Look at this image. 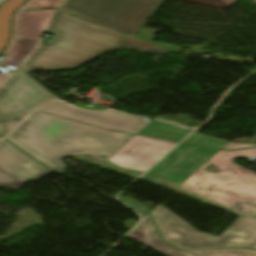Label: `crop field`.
I'll list each match as a JSON object with an SVG mask.
<instances>
[{
  "instance_id": "obj_1",
  "label": "crop field",
  "mask_w": 256,
  "mask_h": 256,
  "mask_svg": "<svg viewBox=\"0 0 256 256\" xmlns=\"http://www.w3.org/2000/svg\"><path fill=\"white\" fill-rule=\"evenodd\" d=\"M133 136L38 113L29 116L6 139L62 174L66 167L61 160L65 156L87 153L107 160Z\"/></svg>"
},
{
  "instance_id": "obj_2",
  "label": "crop field",
  "mask_w": 256,
  "mask_h": 256,
  "mask_svg": "<svg viewBox=\"0 0 256 256\" xmlns=\"http://www.w3.org/2000/svg\"><path fill=\"white\" fill-rule=\"evenodd\" d=\"M45 32L56 33L57 36L53 41L41 40L23 67L33 71L73 69L105 52L122 49L152 54L170 52L57 10Z\"/></svg>"
},
{
  "instance_id": "obj_3",
  "label": "crop field",
  "mask_w": 256,
  "mask_h": 256,
  "mask_svg": "<svg viewBox=\"0 0 256 256\" xmlns=\"http://www.w3.org/2000/svg\"><path fill=\"white\" fill-rule=\"evenodd\" d=\"M231 209L240 217L220 238L197 232L161 205L150 212L161 238L182 250L211 247L256 249V204L240 200Z\"/></svg>"
},
{
  "instance_id": "obj_4",
  "label": "crop field",
  "mask_w": 256,
  "mask_h": 256,
  "mask_svg": "<svg viewBox=\"0 0 256 256\" xmlns=\"http://www.w3.org/2000/svg\"><path fill=\"white\" fill-rule=\"evenodd\" d=\"M250 157H256V148L232 152L220 150L181 187L229 209L240 199L256 202V174L234 164L236 158ZM209 164L220 172H208L205 167Z\"/></svg>"
},
{
  "instance_id": "obj_5",
  "label": "crop field",
  "mask_w": 256,
  "mask_h": 256,
  "mask_svg": "<svg viewBox=\"0 0 256 256\" xmlns=\"http://www.w3.org/2000/svg\"><path fill=\"white\" fill-rule=\"evenodd\" d=\"M164 0H62L56 7L134 36Z\"/></svg>"
},
{
  "instance_id": "obj_6",
  "label": "crop field",
  "mask_w": 256,
  "mask_h": 256,
  "mask_svg": "<svg viewBox=\"0 0 256 256\" xmlns=\"http://www.w3.org/2000/svg\"><path fill=\"white\" fill-rule=\"evenodd\" d=\"M29 71L18 69L0 91V118L27 114L49 99L57 98L27 76Z\"/></svg>"
},
{
  "instance_id": "obj_7",
  "label": "crop field",
  "mask_w": 256,
  "mask_h": 256,
  "mask_svg": "<svg viewBox=\"0 0 256 256\" xmlns=\"http://www.w3.org/2000/svg\"><path fill=\"white\" fill-rule=\"evenodd\" d=\"M219 150L181 144L148 174L182 184Z\"/></svg>"
},
{
  "instance_id": "obj_8",
  "label": "crop field",
  "mask_w": 256,
  "mask_h": 256,
  "mask_svg": "<svg viewBox=\"0 0 256 256\" xmlns=\"http://www.w3.org/2000/svg\"><path fill=\"white\" fill-rule=\"evenodd\" d=\"M38 111L62 116L75 121L103 127L110 130L137 134L150 121L133 118L116 112H93L74 109L60 102H50Z\"/></svg>"
},
{
  "instance_id": "obj_9",
  "label": "crop field",
  "mask_w": 256,
  "mask_h": 256,
  "mask_svg": "<svg viewBox=\"0 0 256 256\" xmlns=\"http://www.w3.org/2000/svg\"><path fill=\"white\" fill-rule=\"evenodd\" d=\"M176 144L135 135L108 161L129 170L144 172Z\"/></svg>"
},
{
  "instance_id": "obj_10",
  "label": "crop field",
  "mask_w": 256,
  "mask_h": 256,
  "mask_svg": "<svg viewBox=\"0 0 256 256\" xmlns=\"http://www.w3.org/2000/svg\"><path fill=\"white\" fill-rule=\"evenodd\" d=\"M0 165L31 181L51 173L5 140L0 142Z\"/></svg>"
},
{
  "instance_id": "obj_11",
  "label": "crop field",
  "mask_w": 256,
  "mask_h": 256,
  "mask_svg": "<svg viewBox=\"0 0 256 256\" xmlns=\"http://www.w3.org/2000/svg\"><path fill=\"white\" fill-rule=\"evenodd\" d=\"M149 232L148 242L162 252L176 250L164 241L158 238L152 221L147 215L141 223ZM178 251V250H176ZM186 256H256V250L245 249H213V250H197V251H178Z\"/></svg>"
},
{
  "instance_id": "obj_12",
  "label": "crop field",
  "mask_w": 256,
  "mask_h": 256,
  "mask_svg": "<svg viewBox=\"0 0 256 256\" xmlns=\"http://www.w3.org/2000/svg\"><path fill=\"white\" fill-rule=\"evenodd\" d=\"M53 13L50 11H24L19 18L18 36L41 37Z\"/></svg>"
},
{
  "instance_id": "obj_13",
  "label": "crop field",
  "mask_w": 256,
  "mask_h": 256,
  "mask_svg": "<svg viewBox=\"0 0 256 256\" xmlns=\"http://www.w3.org/2000/svg\"><path fill=\"white\" fill-rule=\"evenodd\" d=\"M190 132V130H186L165 122L152 120L138 134L180 141Z\"/></svg>"
},
{
  "instance_id": "obj_14",
  "label": "crop field",
  "mask_w": 256,
  "mask_h": 256,
  "mask_svg": "<svg viewBox=\"0 0 256 256\" xmlns=\"http://www.w3.org/2000/svg\"><path fill=\"white\" fill-rule=\"evenodd\" d=\"M40 39L17 38L11 54L0 64L1 66H14L17 70L30 54L36 49Z\"/></svg>"
},
{
  "instance_id": "obj_15",
  "label": "crop field",
  "mask_w": 256,
  "mask_h": 256,
  "mask_svg": "<svg viewBox=\"0 0 256 256\" xmlns=\"http://www.w3.org/2000/svg\"><path fill=\"white\" fill-rule=\"evenodd\" d=\"M29 180L11 172L10 170L0 166V188L16 189L20 185Z\"/></svg>"
},
{
  "instance_id": "obj_16",
  "label": "crop field",
  "mask_w": 256,
  "mask_h": 256,
  "mask_svg": "<svg viewBox=\"0 0 256 256\" xmlns=\"http://www.w3.org/2000/svg\"><path fill=\"white\" fill-rule=\"evenodd\" d=\"M202 139V140H199ZM184 143L196 144L201 146L213 147L221 149L224 147L228 142L215 139L213 137L203 136L198 133H193L190 135L186 140L183 141Z\"/></svg>"
},
{
  "instance_id": "obj_17",
  "label": "crop field",
  "mask_w": 256,
  "mask_h": 256,
  "mask_svg": "<svg viewBox=\"0 0 256 256\" xmlns=\"http://www.w3.org/2000/svg\"><path fill=\"white\" fill-rule=\"evenodd\" d=\"M137 228V227H136ZM131 233V232H130ZM129 237L133 238V239H136L138 241H141L145 244H147V238H148V232L147 230L142 227V226H139L137 229H135L131 234L128 235ZM149 245V244H147ZM150 246V245H149ZM152 247V246H151ZM154 248V247H153ZM157 250V249H156ZM158 251V250H157ZM160 252V251H159ZM162 253V252H161ZM163 254H166L168 256H184L176 251H171V252H166V253H163Z\"/></svg>"
},
{
  "instance_id": "obj_18",
  "label": "crop field",
  "mask_w": 256,
  "mask_h": 256,
  "mask_svg": "<svg viewBox=\"0 0 256 256\" xmlns=\"http://www.w3.org/2000/svg\"><path fill=\"white\" fill-rule=\"evenodd\" d=\"M25 116L26 115L0 119V133L3 136L6 135V133L15 127Z\"/></svg>"
},
{
  "instance_id": "obj_19",
  "label": "crop field",
  "mask_w": 256,
  "mask_h": 256,
  "mask_svg": "<svg viewBox=\"0 0 256 256\" xmlns=\"http://www.w3.org/2000/svg\"><path fill=\"white\" fill-rule=\"evenodd\" d=\"M61 0H38L27 9L55 8Z\"/></svg>"
},
{
  "instance_id": "obj_20",
  "label": "crop field",
  "mask_w": 256,
  "mask_h": 256,
  "mask_svg": "<svg viewBox=\"0 0 256 256\" xmlns=\"http://www.w3.org/2000/svg\"><path fill=\"white\" fill-rule=\"evenodd\" d=\"M32 1L34 0H30L29 2H27L25 5H23L21 7V9H19L18 11H16L14 17H13V32H12V36L10 38V41H9V44L6 48V50L2 53L4 55H8V53L10 52V49L12 47V44H13V41H14V38H15V35H16V20L21 12L22 9H24L28 4H30Z\"/></svg>"
},
{
  "instance_id": "obj_21",
  "label": "crop field",
  "mask_w": 256,
  "mask_h": 256,
  "mask_svg": "<svg viewBox=\"0 0 256 256\" xmlns=\"http://www.w3.org/2000/svg\"><path fill=\"white\" fill-rule=\"evenodd\" d=\"M117 199L120 200V201H122V202H124V203H126L127 205H129V206L132 207L133 209H135V210H136L138 213H140L143 217L148 214V212H147V210H146V208H145L144 206H142V205H140V204H138V203L132 201V200L129 199V198L119 196V197H117Z\"/></svg>"
},
{
  "instance_id": "obj_22",
  "label": "crop field",
  "mask_w": 256,
  "mask_h": 256,
  "mask_svg": "<svg viewBox=\"0 0 256 256\" xmlns=\"http://www.w3.org/2000/svg\"><path fill=\"white\" fill-rule=\"evenodd\" d=\"M185 1L221 8L216 0H185Z\"/></svg>"
},
{
  "instance_id": "obj_23",
  "label": "crop field",
  "mask_w": 256,
  "mask_h": 256,
  "mask_svg": "<svg viewBox=\"0 0 256 256\" xmlns=\"http://www.w3.org/2000/svg\"><path fill=\"white\" fill-rule=\"evenodd\" d=\"M251 146H256V145L236 144V143L229 142L223 149L234 150V149L247 148V147H251Z\"/></svg>"
},
{
  "instance_id": "obj_24",
  "label": "crop field",
  "mask_w": 256,
  "mask_h": 256,
  "mask_svg": "<svg viewBox=\"0 0 256 256\" xmlns=\"http://www.w3.org/2000/svg\"><path fill=\"white\" fill-rule=\"evenodd\" d=\"M12 74H0V90L6 84Z\"/></svg>"
},
{
  "instance_id": "obj_25",
  "label": "crop field",
  "mask_w": 256,
  "mask_h": 256,
  "mask_svg": "<svg viewBox=\"0 0 256 256\" xmlns=\"http://www.w3.org/2000/svg\"><path fill=\"white\" fill-rule=\"evenodd\" d=\"M217 1L219 2L222 8H227L238 0H217Z\"/></svg>"
},
{
  "instance_id": "obj_26",
  "label": "crop field",
  "mask_w": 256,
  "mask_h": 256,
  "mask_svg": "<svg viewBox=\"0 0 256 256\" xmlns=\"http://www.w3.org/2000/svg\"><path fill=\"white\" fill-rule=\"evenodd\" d=\"M254 1V3L256 4V0H253Z\"/></svg>"
}]
</instances>
